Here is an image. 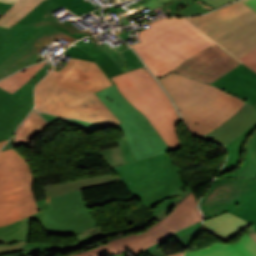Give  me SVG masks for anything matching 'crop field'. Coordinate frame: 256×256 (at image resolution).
Masks as SVG:
<instances>
[{
    "label": "crop field",
    "instance_id": "crop-field-1",
    "mask_svg": "<svg viewBox=\"0 0 256 256\" xmlns=\"http://www.w3.org/2000/svg\"><path fill=\"white\" fill-rule=\"evenodd\" d=\"M111 85L97 64L70 58L60 72L53 70L35 87L36 108L62 117L120 124L94 93Z\"/></svg>",
    "mask_w": 256,
    "mask_h": 256
},
{
    "label": "crop field",
    "instance_id": "crop-field-2",
    "mask_svg": "<svg viewBox=\"0 0 256 256\" xmlns=\"http://www.w3.org/2000/svg\"><path fill=\"white\" fill-rule=\"evenodd\" d=\"M159 81L172 95L191 133L198 136L225 123L245 103L218 87L177 73Z\"/></svg>",
    "mask_w": 256,
    "mask_h": 256
},
{
    "label": "crop field",
    "instance_id": "crop-field-3",
    "mask_svg": "<svg viewBox=\"0 0 256 256\" xmlns=\"http://www.w3.org/2000/svg\"><path fill=\"white\" fill-rule=\"evenodd\" d=\"M140 32L132 45L156 78H161L191 56L215 44L184 18H164Z\"/></svg>",
    "mask_w": 256,
    "mask_h": 256
},
{
    "label": "crop field",
    "instance_id": "crop-field-4",
    "mask_svg": "<svg viewBox=\"0 0 256 256\" xmlns=\"http://www.w3.org/2000/svg\"><path fill=\"white\" fill-rule=\"evenodd\" d=\"M168 153L112 168L124 181L134 197L147 207H152L165 198L178 196L157 206L152 219L162 220L188 194L190 188L179 178L180 170Z\"/></svg>",
    "mask_w": 256,
    "mask_h": 256
},
{
    "label": "crop field",
    "instance_id": "crop-field-5",
    "mask_svg": "<svg viewBox=\"0 0 256 256\" xmlns=\"http://www.w3.org/2000/svg\"><path fill=\"white\" fill-rule=\"evenodd\" d=\"M96 94L120 120L122 124L115 127L121 129L125 137L117 141L119 147L99 152L107 165L113 167L171 151L148 119L124 98L115 84Z\"/></svg>",
    "mask_w": 256,
    "mask_h": 256
},
{
    "label": "crop field",
    "instance_id": "crop-field-6",
    "mask_svg": "<svg viewBox=\"0 0 256 256\" xmlns=\"http://www.w3.org/2000/svg\"><path fill=\"white\" fill-rule=\"evenodd\" d=\"M112 79L126 99L149 119L172 151L183 148L176 130L177 123L182 120L169 97L144 66Z\"/></svg>",
    "mask_w": 256,
    "mask_h": 256
},
{
    "label": "crop field",
    "instance_id": "crop-field-7",
    "mask_svg": "<svg viewBox=\"0 0 256 256\" xmlns=\"http://www.w3.org/2000/svg\"><path fill=\"white\" fill-rule=\"evenodd\" d=\"M37 205L39 213L0 227V243L28 241L31 219L41 222L47 233L60 236L74 235L98 225L87 208L81 190L42 200Z\"/></svg>",
    "mask_w": 256,
    "mask_h": 256
},
{
    "label": "crop field",
    "instance_id": "crop-field-8",
    "mask_svg": "<svg viewBox=\"0 0 256 256\" xmlns=\"http://www.w3.org/2000/svg\"><path fill=\"white\" fill-rule=\"evenodd\" d=\"M186 19L238 59L256 48V12L241 1Z\"/></svg>",
    "mask_w": 256,
    "mask_h": 256
},
{
    "label": "crop field",
    "instance_id": "crop-field-9",
    "mask_svg": "<svg viewBox=\"0 0 256 256\" xmlns=\"http://www.w3.org/2000/svg\"><path fill=\"white\" fill-rule=\"evenodd\" d=\"M28 162L14 149L0 152V226L38 212Z\"/></svg>",
    "mask_w": 256,
    "mask_h": 256
},
{
    "label": "crop field",
    "instance_id": "crop-field-10",
    "mask_svg": "<svg viewBox=\"0 0 256 256\" xmlns=\"http://www.w3.org/2000/svg\"><path fill=\"white\" fill-rule=\"evenodd\" d=\"M200 207L205 220L229 211L256 224V179H216Z\"/></svg>",
    "mask_w": 256,
    "mask_h": 256
},
{
    "label": "crop field",
    "instance_id": "crop-field-11",
    "mask_svg": "<svg viewBox=\"0 0 256 256\" xmlns=\"http://www.w3.org/2000/svg\"><path fill=\"white\" fill-rule=\"evenodd\" d=\"M61 7L54 0H44L11 28L0 27V64L48 23L77 39L91 35L89 29L81 31L67 20H57L51 12ZM43 21L46 24L34 27L33 24Z\"/></svg>",
    "mask_w": 256,
    "mask_h": 256
},
{
    "label": "crop field",
    "instance_id": "crop-field-12",
    "mask_svg": "<svg viewBox=\"0 0 256 256\" xmlns=\"http://www.w3.org/2000/svg\"><path fill=\"white\" fill-rule=\"evenodd\" d=\"M48 61L13 94L0 88V141L11 138L18 124L34 105L33 88L52 69Z\"/></svg>",
    "mask_w": 256,
    "mask_h": 256
},
{
    "label": "crop field",
    "instance_id": "crop-field-13",
    "mask_svg": "<svg viewBox=\"0 0 256 256\" xmlns=\"http://www.w3.org/2000/svg\"><path fill=\"white\" fill-rule=\"evenodd\" d=\"M240 64L242 63L215 44L191 57L173 72L211 84Z\"/></svg>",
    "mask_w": 256,
    "mask_h": 256
},
{
    "label": "crop field",
    "instance_id": "crop-field-14",
    "mask_svg": "<svg viewBox=\"0 0 256 256\" xmlns=\"http://www.w3.org/2000/svg\"><path fill=\"white\" fill-rule=\"evenodd\" d=\"M60 38L71 43L77 40L48 24L0 65V79L20 68L39 62L42 56L38 52L45 45L53 41L57 42Z\"/></svg>",
    "mask_w": 256,
    "mask_h": 256
},
{
    "label": "crop field",
    "instance_id": "crop-field-15",
    "mask_svg": "<svg viewBox=\"0 0 256 256\" xmlns=\"http://www.w3.org/2000/svg\"><path fill=\"white\" fill-rule=\"evenodd\" d=\"M171 234L173 232L157 220L145 232L140 231V233L135 235H125L124 238L111 241L105 245L74 256H112L126 250L136 254Z\"/></svg>",
    "mask_w": 256,
    "mask_h": 256
},
{
    "label": "crop field",
    "instance_id": "crop-field-16",
    "mask_svg": "<svg viewBox=\"0 0 256 256\" xmlns=\"http://www.w3.org/2000/svg\"><path fill=\"white\" fill-rule=\"evenodd\" d=\"M72 46L63 53H65L69 57L96 62L112 84H114V82L110 77L143 66L142 62L131 51L130 48L119 53L113 50L114 48L118 51L123 50L118 45L111 49L109 47L110 45L104 43L98 47L105 53L93 59L81 50H79L77 47Z\"/></svg>",
    "mask_w": 256,
    "mask_h": 256
},
{
    "label": "crop field",
    "instance_id": "crop-field-17",
    "mask_svg": "<svg viewBox=\"0 0 256 256\" xmlns=\"http://www.w3.org/2000/svg\"><path fill=\"white\" fill-rule=\"evenodd\" d=\"M256 109V105L253 106ZM228 161L218 177L235 178L250 163L256 150V123L225 146Z\"/></svg>",
    "mask_w": 256,
    "mask_h": 256
},
{
    "label": "crop field",
    "instance_id": "crop-field-18",
    "mask_svg": "<svg viewBox=\"0 0 256 256\" xmlns=\"http://www.w3.org/2000/svg\"><path fill=\"white\" fill-rule=\"evenodd\" d=\"M212 85L244 99L251 106L256 104V73L243 64Z\"/></svg>",
    "mask_w": 256,
    "mask_h": 256
},
{
    "label": "crop field",
    "instance_id": "crop-field-19",
    "mask_svg": "<svg viewBox=\"0 0 256 256\" xmlns=\"http://www.w3.org/2000/svg\"><path fill=\"white\" fill-rule=\"evenodd\" d=\"M252 108L245 103L242 109L225 124L202 137L216 140L225 146L256 122V110Z\"/></svg>",
    "mask_w": 256,
    "mask_h": 256
},
{
    "label": "crop field",
    "instance_id": "crop-field-20",
    "mask_svg": "<svg viewBox=\"0 0 256 256\" xmlns=\"http://www.w3.org/2000/svg\"><path fill=\"white\" fill-rule=\"evenodd\" d=\"M185 256H256V242L245 233L232 244L214 243L204 249L188 251Z\"/></svg>",
    "mask_w": 256,
    "mask_h": 256
},
{
    "label": "crop field",
    "instance_id": "crop-field-21",
    "mask_svg": "<svg viewBox=\"0 0 256 256\" xmlns=\"http://www.w3.org/2000/svg\"><path fill=\"white\" fill-rule=\"evenodd\" d=\"M201 220L202 216L200 211L197 209L196 201L192 192L161 222L174 232Z\"/></svg>",
    "mask_w": 256,
    "mask_h": 256
},
{
    "label": "crop field",
    "instance_id": "crop-field-22",
    "mask_svg": "<svg viewBox=\"0 0 256 256\" xmlns=\"http://www.w3.org/2000/svg\"><path fill=\"white\" fill-rule=\"evenodd\" d=\"M249 224L250 223L227 212L206 220L204 222L203 230L215 235L223 241H226L236 236Z\"/></svg>",
    "mask_w": 256,
    "mask_h": 256
},
{
    "label": "crop field",
    "instance_id": "crop-field-23",
    "mask_svg": "<svg viewBox=\"0 0 256 256\" xmlns=\"http://www.w3.org/2000/svg\"><path fill=\"white\" fill-rule=\"evenodd\" d=\"M117 179L115 176H102V177H93V178H85V179H77L71 182L59 183V184H51L47 186H43L46 197H53L56 195H60L63 193L71 192L78 189H85L100 185H105L109 183L116 182Z\"/></svg>",
    "mask_w": 256,
    "mask_h": 256
},
{
    "label": "crop field",
    "instance_id": "crop-field-24",
    "mask_svg": "<svg viewBox=\"0 0 256 256\" xmlns=\"http://www.w3.org/2000/svg\"><path fill=\"white\" fill-rule=\"evenodd\" d=\"M48 125L34 109L19 127L15 135V146L25 144Z\"/></svg>",
    "mask_w": 256,
    "mask_h": 256
},
{
    "label": "crop field",
    "instance_id": "crop-field-25",
    "mask_svg": "<svg viewBox=\"0 0 256 256\" xmlns=\"http://www.w3.org/2000/svg\"><path fill=\"white\" fill-rule=\"evenodd\" d=\"M0 1L14 4L12 8L8 10L0 18V26L9 28L14 23L19 21L25 14H27L33 7H35L42 0H0Z\"/></svg>",
    "mask_w": 256,
    "mask_h": 256
},
{
    "label": "crop field",
    "instance_id": "crop-field-26",
    "mask_svg": "<svg viewBox=\"0 0 256 256\" xmlns=\"http://www.w3.org/2000/svg\"><path fill=\"white\" fill-rule=\"evenodd\" d=\"M161 9L167 16H193L209 12L192 0H176Z\"/></svg>",
    "mask_w": 256,
    "mask_h": 256
},
{
    "label": "crop field",
    "instance_id": "crop-field-27",
    "mask_svg": "<svg viewBox=\"0 0 256 256\" xmlns=\"http://www.w3.org/2000/svg\"><path fill=\"white\" fill-rule=\"evenodd\" d=\"M201 224H202V222H199V223H197V224H195L191 227H188L184 230H181V231L175 233L174 235H172V236H170V237L152 245L151 247L145 249L144 251H142L140 253H143L145 251L150 250L152 256H162L163 253H161L160 250H157V248H160L159 245L161 243L171 239L172 237H174L186 249L188 247V245L191 243V241L194 239V237L197 234ZM140 253H138V254H140Z\"/></svg>",
    "mask_w": 256,
    "mask_h": 256
},
{
    "label": "crop field",
    "instance_id": "crop-field-28",
    "mask_svg": "<svg viewBox=\"0 0 256 256\" xmlns=\"http://www.w3.org/2000/svg\"><path fill=\"white\" fill-rule=\"evenodd\" d=\"M45 63L46 62L26 68L18 72L17 74L1 81L0 87L13 93L19 87H21L30 77H32Z\"/></svg>",
    "mask_w": 256,
    "mask_h": 256
},
{
    "label": "crop field",
    "instance_id": "crop-field-29",
    "mask_svg": "<svg viewBox=\"0 0 256 256\" xmlns=\"http://www.w3.org/2000/svg\"><path fill=\"white\" fill-rule=\"evenodd\" d=\"M152 221V219H150L149 221L141 224V225H138V226H134V227H130V228H124V229H120V230H116V231H111V232H106V233H103L102 229L100 228V226H96L94 228H91L89 230H86L80 234H77L74 236V238L76 239V243L79 246H81L82 244L86 243V242H89L95 238H100V237H103L105 235H108L110 233H115V232H119L121 230H128V229H136V228H139V227H142L144 225H147L148 222Z\"/></svg>",
    "mask_w": 256,
    "mask_h": 256
},
{
    "label": "crop field",
    "instance_id": "crop-field-30",
    "mask_svg": "<svg viewBox=\"0 0 256 256\" xmlns=\"http://www.w3.org/2000/svg\"><path fill=\"white\" fill-rule=\"evenodd\" d=\"M56 1L61 5H63L64 7L68 8L69 11L77 15L83 14L87 11H91L98 7H102L98 3L93 5L89 1H85V0H56Z\"/></svg>",
    "mask_w": 256,
    "mask_h": 256
},
{
    "label": "crop field",
    "instance_id": "crop-field-31",
    "mask_svg": "<svg viewBox=\"0 0 256 256\" xmlns=\"http://www.w3.org/2000/svg\"><path fill=\"white\" fill-rule=\"evenodd\" d=\"M42 116L44 117V119H46L49 123H53L59 119H62L64 121H66L67 123L73 125L74 127L80 129V130H84L88 133H91L93 131H96L98 129L104 128L106 126H102V125H96L93 123H89V122H85V121H80V120H76V119H63L60 117H56L50 114H44L41 113Z\"/></svg>",
    "mask_w": 256,
    "mask_h": 256
},
{
    "label": "crop field",
    "instance_id": "crop-field-32",
    "mask_svg": "<svg viewBox=\"0 0 256 256\" xmlns=\"http://www.w3.org/2000/svg\"><path fill=\"white\" fill-rule=\"evenodd\" d=\"M77 248L75 244L69 245H40V244H27L25 246V254H36V253H46L51 251H68Z\"/></svg>",
    "mask_w": 256,
    "mask_h": 256
},
{
    "label": "crop field",
    "instance_id": "crop-field-33",
    "mask_svg": "<svg viewBox=\"0 0 256 256\" xmlns=\"http://www.w3.org/2000/svg\"><path fill=\"white\" fill-rule=\"evenodd\" d=\"M171 1L174 0H149L145 3H143L146 7L149 8L150 11L155 10ZM204 2L208 3L211 5L213 8H218L220 6H223L227 3L233 2L235 0H203Z\"/></svg>",
    "mask_w": 256,
    "mask_h": 256
},
{
    "label": "crop field",
    "instance_id": "crop-field-34",
    "mask_svg": "<svg viewBox=\"0 0 256 256\" xmlns=\"http://www.w3.org/2000/svg\"><path fill=\"white\" fill-rule=\"evenodd\" d=\"M27 241L23 240L21 242H16L8 245L0 244V256H17L22 255L23 253V245L26 244Z\"/></svg>",
    "mask_w": 256,
    "mask_h": 256
},
{
    "label": "crop field",
    "instance_id": "crop-field-35",
    "mask_svg": "<svg viewBox=\"0 0 256 256\" xmlns=\"http://www.w3.org/2000/svg\"><path fill=\"white\" fill-rule=\"evenodd\" d=\"M91 43L89 44H85V42L83 40L76 42L75 46H77L79 49H81L82 51H84L85 53H87L88 55H90L91 57H95L101 53H103L100 49H98L94 44L95 40L94 38H90L89 39Z\"/></svg>",
    "mask_w": 256,
    "mask_h": 256
},
{
    "label": "crop field",
    "instance_id": "crop-field-36",
    "mask_svg": "<svg viewBox=\"0 0 256 256\" xmlns=\"http://www.w3.org/2000/svg\"><path fill=\"white\" fill-rule=\"evenodd\" d=\"M239 178H256V153L248 165V167L243 171Z\"/></svg>",
    "mask_w": 256,
    "mask_h": 256
},
{
    "label": "crop field",
    "instance_id": "crop-field-37",
    "mask_svg": "<svg viewBox=\"0 0 256 256\" xmlns=\"http://www.w3.org/2000/svg\"><path fill=\"white\" fill-rule=\"evenodd\" d=\"M239 60L256 72V49Z\"/></svg>",
    "mask_w": 256,
    "mask_h": 256
},
{
    "label": "crop field",
    "instance_id": "crop-field-38",
    "mask_svg": "<svg viewBox=\"0 0 256 256\" xmlns=\"http://www.w3.org/2000/svg\"><path fill=\"white\" fill-rule=\"evenodd\" d=\"M242 1L256 11V0H242Z\"/></svg>",
    "mask_w": 256,
    "mask_h": 256
},
{
    "label": "crop field",
    "instance_id": "crop-field-39",
    "mask_svg": "<svg viewBox=\"0 0 256 256\" xmlns=\"http://www.w3.org/2000/svg\"><path fill=\"white\" fill-rule=\"evenodd\" d=\"M11 6V4L0 2V11L6 12Z\"/></svg>",
    "mask_w": 256,
    "mask_h": 256
},
{
    "label": "crop field",
    "instance_id": "crop-field-40",
    "mask_svg": "<svg viewBox=\"0 0 256 256\" xmlns=\"http://www.w3.org/2000/svg\"><path fill=\"white\" fill-rule=\"evenodd\" d=\"M247 233H248V235H249L252 239H254V240L256 241V232H255L252 228H250V229L247 231Z\"/></svg>",
    "mask_w": 256,
    "mask_h": 256
},
{
    "label": "crop field",
    "instance_id": "crop-field-41",
    "mask_svg": "<svg viewBox=\"0 0 256 256\" xmlns=\"http://www.w3.org/2000/svg\"><path fill=\"white\" fill-rule=\"evenodd\" d=\"M183 253H177V254H173V255H169V256H182Z\"/></svg>",
    "mask_w": 256,
    "mask_h": 256
},
{
    "label": "crop field",
    "instance_id": "crop-field-42",
    "mask_svg": "<svg viewBox=\"0 0 256 256\" xmlns=\"http://www.w3.org/2000/svg\"><path fill=\"white\" fill-rule=\"evenodd\" d=\"M7 141V140H6ZM6 141L0 142V149L2 148V146L6 143Z\"/></svg>",
    "mask_w": 256,
    "mask_h": 256
},
{
    "label": "crop field",
    "instance_id": "crop-field-43",
    "mask_svg": "<svg viewBox=\"0 0 256 256\" xmlns=\"http://www.w3.org/2000/svg\"><path fill=\"white\" fill-rule=\"evenodd\" d=\"M256 231V225L252 227Z\"/></svg>",
    "mask_w": 256,
    "mask_h": 256
},
{
    "label": "crop field",
    "instance_id": "crop-field-44",
    "mask_svg": "<svg viewBox=\"0 0 256 256\" xmlns=\"http://www.w3.org/2000/svg\"><path fill=\"white\" fill-rule=\"evenodd\" d=\"M3 14H4L3 12H0V17H1Z\"/></svg>",
    "mask_w": 256,
    "mask_h": 256
}]
</instances>
